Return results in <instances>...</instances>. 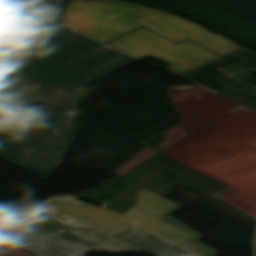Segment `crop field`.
Instances as JSON below:
<instances>
[{"label":"crop field","instance_id":"obj_1","mask_svg":"<svg viewBox=\"0 0 256 256\" xmlns=\"http://www.w3.org/2000/svg\"><path fill=\"white\" fill-rule=\"evenodd\" d=\"M60 21L103 43L145 26L176 42H198L223 56L242 48L175 15L119 1L71 0Z\"/></svg>","mask_w":256,"mask_h":256},{"label":"crop field","instance_id":"obj_2","mask_svg":"<svg viewBox=\"0 0 256 256\" xmlns=\"http://www.w3.org/2000/svg\"><path fill=\"white\" fill-rule=\"evenodd\" d=\"M97 49L101 50L100 47ZM97 49L68 62L87 73L40 143L34 145L0 140L1 159L15 166L52 175L80 132L81 124L77 121L83 112L75 110L82 103L86 88L94 81L138 61L112 48L102 52Z\"/></svg>","mask_w":256,"mask_h":256},{"label":"crop field","instance_id":"obj_3","mask_svg":"<svg viewBox=\"0 0 256 256\" xmlns=\"http://www.w3.org/2000/svg\"><path fill=\"white\" fill-rule=\"evenodd\" d=\"M72 88L18 79L0 109V137L36 142Z\"/></svg>","mask_w":256,"mask_h":256},{"label":"crop field","instance_id":"obj_4","mask_svg":"<svg viewBox=\"0 0 256 256\" xmlns=\"http://www.w3.org/2000/svg\"><path fill=\"white\" fill-rule=\"evenodd\" d=\"M49 235L64 230L63 226L46 215H11ZM84 253L106 251L110 254L146 251L154 256H193L172 246L143 229L130 228L110 237L97 229L70 228L53 237Z\"/></svg>","mask_w":256,"mask_h":256},{"label":"crop field","instance_id":"obj_5","mask_svg":"<svg viewBox=\"0 0 256 256\" xmlns=\"http://www.w3.org/2000/svg\"><path fill=\"white\" fill-rule=\"evenodd\" d=\"M138 194V204L123 214L121 218L195 256H215L219 254L196 241L203 238L202 234L168 215L182 207L145 189L138 192Z\"/></svg>","mask_w":256,"mask_h":256},{"label":"crop field","instance_id":"obj_6","mask_svg":"<svg viewBox=\"0 0 256 256\" xmlns=\"http://www.w3.org/2000/svg\"><path fill=\"white\" fill-rule=\"evenodd\" d=\"M107 44L139 59L151 56L169 65L166 69L178 75L220 57L187 40L176 44L144 28L137 29Z\"/></svg>","mask_w":256,"mask_h":256},{"label":"crop field","instance_id":"obj_7","mask_svg":"<svg viewBox=\"0 0 256 256\" xmlns=\"http://www.w3.org/2000/svg\"><path fill=\"white\" fill-rule=\"evenodd\" d=\"M246 70H256V52L242 48L183 77L256 110V87L235 77Z\"/></svg>","mask_w":256,"mask_h":256},{"label":"crop field","instance_id":"obj_8","mask_svg":"<svg viewBox=\"0 0 256 256\" xmlns=\"http://www.w3.org/2000/svg\"><path fill=\"white\" fill-rule=\"evenodd\" d=\"M51 14L37 0H11L0 18V43L33 47Z\"/></svg>","mask_w":256,"mask_h":256},{"label":"crop field","instance_id":"obj_9","mask_svg":"<svg viewBox=\"0 0 256 256\" xmlns=\"http://www.w3.org/2000/svg\"><path fill=\"white\" fill-rule=\"evenodd\" d=\"M41 214L71 227L98 228L110 236L130 227H139L119 218L121 214L101 209L81 201L58 202Z\"/></svg>","mask_w":256,"mask_h":256},{"label":"crop field","instance_id":"obj_10","mask_svg":"<svg viewBox=\"0 0 256 256\" xmlns=\"http://www.w3.org/2000/svg\"><path fill=\"white\" fill-rule=\"evenodd\" d=\"M0 232L36 256H87L7 215L0 216Z\"/></svg>","mask_w":256,"mask_h":256},{"label":"crop field","instance_id":"obj_11","mask_svg":"<svg viewBox=\"0 0 256 256\" xmlns=\"http://www.w3.org/2000/svg\"><path fill=\"white\" fill-rule=\"evenodd\" d=\"M122 178L127 180L124 187L111 198L104 200L101 208L123 214L137 204L138 191L146 188L163 197L172 192V187L178 185L142 166L136 167Z\"/></svg>","mask_w":256,"mask_h":256},{"label":"crop field","instance_id":"obj_12","mask_svg":"<svg viewBox=\"0 0 256 256\" xmlns=\"http://www.w3.org/2000/svg\"><path fill=\"white\" fill-rule=\"evenodd\" d=\"M37 51L34 49L20 78L76 85L78 79L83 75V71L49 55L36 54Z\"/></svg>","mask_w":256,"mask_h":256},{"label":"crop field","instance_id":"obj_13","mask_svg":"<svg viewBox=\"0 0 256 256\" xmlns=\"http://www.w3.org/2000/svg\"><path fill=\"white\" fill-rule=\"evenodd\" d=\"M99 44L101 43L57 25L43 52L66 61Z\"/></svg>","mask_w":256,"mask_h":256},{"label":"crop field","instance_id":"obj_14","mask_svg":"<svg viewBox=\"0 0 256 256\" xmlns=\"http://www.w3.org/2000/svg\"><path fill=\"white\" fill-rule=\"evenodd\" d=\"M31 49L0 45V104ZM30 53V52H29Z\"/></svg>","mask_w":256,"mask_h":256},{"label":"crop field","instance_id":"obj_15","mask_svg":"<svg viewBox=\"0 0 256 256\" xmlns=\"http://www.w3.org/2000/svg\"><path fill=\"white\" fill-rule=\"evenodd\" d=\"M65 200H79V199L71 197L69 195L52 197V198L46 200L45 202H43L42 204L38 205L37 207H35L34 210H36L38 213H40V212L44 211L45 209H47L48 207L55 204L56 202L65 201Z\"/></svg>","mask_w":256,"mask_h":256},{"label":"crop field","instance_id":"obj_16","mask_svg":"<svg viewBox=\"0 0 256 256\" xmlns=\"http://www.w3.org/2000/svg\"><path fill=\"white\" fill-rule=\"evenodd\" d=\"M55 27H56V24H53V23L48 24L45 32L43 33L42 37L40 38L38 44L35 47L36 49H44Z\"/></svg>","mask_w":256,"mask_h":256},{"label":"crop field","instance_id":"obj_17","mask_svg":"<svg viewBox=\"0 0 256 256\" xmlns=\"http://www.w3.org/2000/svg\"><path fill=\"white\" fill-rule=\"evenodd\" d=\"M10 0H0V16L4 12L5 8L7 7Z\"/></svg>","mask_w":256,"mask_h":256},{"label":"crop field","instance_id":"obj_18","mask_svg":"<svg viewBox=\"0 0 256 256\" xmlns=\"http://www.w3.org/2000/svg\"><path fill=\"white\" fill-rule=\"evenodd\" d=\"M20 214H37V212H35L33 209H31V210H27V211H22V212H20Z\"/></svg>","mask_w":256,"mask_h":256},{"label":"crop field","instance_id":"obj_19","mask_svg":"<svg viewBox=\"0 0 256 256\" xmlns=\"http://www.w3.org/2000/svg\"><path fill=\"white\" fill-rule=\"evenodd\" d=\"M1 214H3V213L0 212V215H1Z\"/></svg>","mask_w":256,"mask_h":256}]
</instances>
